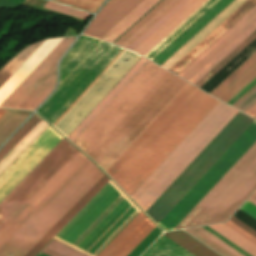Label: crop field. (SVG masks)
<instances>
[{
    "mask_svg": "<svg viewBox=\"0 0 256 256\" xmlns=\"http://www.w3.org/2000/svg\"><path fill=\"white\" fill-rule=\"evenodd\" d=\"M187 83L148 61L73 143L106 171Z\"/></svg>",
    "mask_w": 256,
    "mask_h": 256,
    "instance_id": "crop-field-1",
    "label": "crop field"
},
{
    "mask_svg": "<svg viewBox=\"0 0 256 256\" xmlns=\"http://www.w3.org/2000/svg\"><path fill=\"white\" fill-rule=\"evenodd\" d=\"M217 102L188 83L106 172L131 196Z\"/></svg>",
    "mask_w": 256,
    "mask_h": 256,
    "instance_id": "crop-field-2",
    "label": "crop field"
},
{
    "mask_svg": "<svg viewBox=\"0 0 256 256\" xmlns=\"http://www.w3.org/2000/svg\"><path fill=\"white\" fill-rule=\"evenodd\" d=\"M103 175L87 159L0 248V256H25Z\"/></svg>",
    "mask_w": 256,
    "mask_h": 256,
    "instance_id": "crop-field-3",
    "label": "crop field"
},
{
    "mask_svg": "<svg viewBox=\"0 0 256 256\" xmlns=\"http://www.w3.org/2000/svg\"><path fill=\"white\" fill-rule=\"evenodd\" d=\"M237 112L219 101L137 189L133 200L145 211Z\"/></svg>",
    "mask_w": 256,
    "mask_h": 256,
    "instance_id": "crop-field-4",
    "label": "crop field"
},
{
    "mask_svg": "<svg viewBox=\"0 0 256 256\" xmlns=\"http://www.w3.org/2000/svg\"><path fill=\"white\" fill-rule=\"evenodd\" d=\"M256 189V143L173 229L226 221Z\"/></svg>",
    "mask_w": 256,
    "mask_h": 256,
    "instance_id": "crop-field-5",
    "label": "crop field"
},
{
    "mask_svg": "<svg viewBox=\"0 0 256 256\" xmlns=\"http://www.w3.org/2000/svg\"><path fill=\"white\" fill-rule=\"evenodd\" d=\"M122 49L100 41L38 112L53 124Z\"/></svg>",
    "mask_w": 256,
    "mask_h": 256,
    "instance_id": "crop-field-6",
    "label": "crop field"
},
{
    "mask_svg": "<svg viewBox=\"0 0 256 256\" xmlns=\"http://www.w3.org/2000/svg\"><path fill=\"white\" fill-rule=\"evenodd\" d=\"M129 201L110 181L55 239L80 251Z\"/></svg>",
    "mask_w": 256,
    "mask_h": 256,
    "instance_id": "crop-field-7",
    "label": "crop field"
},
{
    "mask_svg": "<svg viewBox=\"0 0 256 256\" xmlns=\"http://www.w3.org/2000/svg\"><path fill=\"white\" fill-rule=\"evenodd\" d=\"M255 142L256 120L158 225L164 231L172 230Z\"/></svg>",
    "mask_w": 256,
    "mask_h": 256,
    "instance_id": "crop-field-8",
    "label": "crop field"
},
{
    "mask_svg": "<svg viewBox=\"0 0 256 256\" xmlns=\"http://www.w3.org/2000/svg\"><path fill=\"white\" fill-rule=\"evenodd\" d=\"M124 50V49H123ZM122 50V51H123ZM121 51V52H122ZM120 52V53H121ZM119 53V54H120ZM118 54V55H119ZM117 55V56H118ZM142 56L125 49L118 58L101 74V76L94 82L89 85V89L86 90L74 101L73 104L60 116V118L53 124L61 133L66 137L74 130V128L89 114V112L104 98V96L119 82V80L134 66V64Z\"/></svg>",
    "mask_w": 256,
    "mask_h": 256,
    "instance_id": "crop-field-9",
    "label": "crop field"
},
{
    "mask_svg": "<svg viewBox=\"0 0 256 256\" xmlns=\"http://www.w3.org/2000/svg\"><path fill=\"white\" fill-rule=\"evenodd\" d=\"M64 138L0 202V228L76 152Z\"/></svg>",
    "mask_w": 256,
    "mask_h": 256,
    "instance_id": "crop-field-10",
    "label": "crop field"
},
{
    "mask_svg": "<svg viewBox=\"0 0 256 256\" xmlns=\"http://www.w3.org/2000/svg\"><path fill=\"white\" fill-rule=\"evenodd\" d=\"M75 38H64L0 105L35 110L56 85V65Z\"/></svg>",
    "mask_w": 256,
    "mask_h": 256,
    "instance_id": "crop-field-11",
    "label": "crop field"
},
{
    "mask_svg": "<svg viewBox=\"0 0 256 256\" xmlns=\"http://www.w3.org/2000/svg\"><path fill=\"white\" fill-rule=\"evenodd\" d=\"M78 151L0 229V247L86 160Z\"/></svg>",
    "mask_w": 256,
    "mask_h": 256,
    "instance_id": "crop-field-12",
    "label": "crop field"
},
{
    "mask_svg": "<svg viewBox=\"0 0 256 256\" xmlns=\"http://www.w3.org/2000/svg\"><path fill=\"white\" fill-rule=\"evenodd\" d=\"M50 126L0 176V201L37 165L62 139Z\"/></svg>",
    "mask_w": 256,
    "mask_h": 256,
    "instance_id": "crop-field-13",
    "label": "crop field"
},
{
    "mask_svg": "<svg viewBox=\"0 0 256 256\" xmlns=\"http://www.w3.org/2000/svg\"><path fill=\"white\" fill-rule=\"evenodd\" d=\"M155 227L140 211L97 256H127ZM160 233L156 227L128 256H138Z\"/></svg>",
    "mask_w": 256,
    "mask_h": 256,
    "instance_id": "crop-field-14",
    "label": "crop field"
},
{
    "mask_svg": "<svg viewBox=\"0 0 256 256\" xmlns=\"http://www.w3.org/2000/svg\"><path fill=\"white\" fill-rule=\"evenodd\" d=\"M143 0H110L83 33L100 39Z\"/></svg>",
    "mask_w": 256,
    "mask_h": 256,
    "instance_id": "crop-field-15",
    "label": "crop field"
},
{
    "mask_svg": "<svg viewBox=\"0 0 256 256\" xmlns=\"http://www.w3.org/2000/svg\"><path fill=\"white\" fill-rule=\"evenodd\" d=\"M256 77V52L209 94L228 102Z\"/></svg>",
    "mask_w": 256,
    "mask_h": 256,
    "instance_id": "crop-field-16",
    "label": "crop field"
},
{
    "mask_svg": "<svg viewBox=\"0 0 256 256\" xmlns=\"http://www.w3.org/2000/svg\"><path fill=\"white\" fill-rule=\"evenodd\" d=\"M139 211L130 201L81 252L96 256Z\"/></svg>",
    "mask_w": 256,
    "mask_h": 256,
    "instance_id": "crop-field-17",
    "label": "crop field"
},
{
    "mask_svg": "<svg viewBox=\"0 0 256 256\" xmlns=\"http://www.w3.org/2000/svg\"><path fill=\"white\" fill-rule=\"evenodd\" d=\"M255 19L256 6L252 8L241 20H239L225 34H223L216 42H214L208 49H206L188 67L186 66L187 68H185L181 73H179L178 76L187 80Z\"/></svg>",
    "mask_w": 256,
    "mask_h": 256,
    "instance_id": "crop-field-18",
    "label": "crop field"
},
{
    "mask_svg": "<svg viewBox=\"0 0 256 256\" xmlns=\"http://www.w3.org/2000/svg\"><path fill=\"white\" fill-rule=\"evenodd\" d=\"M63 38L47 39L37 51L0 88V104L30 74V72L53 50Z\"/></svg>",
    "mask_w": 256,
    "mask_h": 256,
    "instance_id": "crop-field-19",
    "label": "crop field"
},
{
    "mask_svg": "<svg viewBox=\"0 0 256 256\" xmlns=\"http://www.w3.org/2000/svg\"><path fill=\"white\" fill-rule=\"evenodd\" d=\"M206 0H190L133 51L145 55Z\"/></svg>",
    "mask_w": 256,
    "mask_h": 256,
    "instance_id": "crop-field-20",
    "label": "crop field"
},
{
    "mask_svg": "<svg viewBox=\"0 0 256 256\" xmlns=\"http://www.w3.org/2000/svg\"><path fill=\"white\" fill-rule=\"evenodd\" d=\"M256 5V0H248L241 6L233 15H231L223 24L197 45L190 53L180 60L170 71L178 73L206 48H208L216 39H218L225 31H227L234 23H236L243 15H245L253 6Z\"/></svg>",
    "mask_w": 256,
    "mask_h": 256,
    "instance_id": "crop-field-21",
    "label": "crop field"
},
{
    "mask_svg": "<svg viewBox=\"0 0 256 256\" xmlns=\"http://www.w3.org/2000/svg\"><path fill=\"white\" fill-rule=\"evenodd\" d=\"M247 0H235L161 66L170 69Z\"/></svg>",
    "mask_w": 256,
    "mask_h": 256,
    "instance_id": "crop-field-22",
    "label": "crop field"
},
{
    "mask_svg": "<svg viewBox=\"0 0 256 256\" xmlns=\"http://www.w3.org/2000/svg\"><path fill=\"white\" fill-rule=\"evenodd\" d=\"M231 1L232 0H219L212 8H210L152 61L160 65Z\"/></svg>",
    "mask_w": 256,
    "mask_h": 256,
    "instance_id": "crop-field-23",
    "label": "crop field"
},
{
    "mask_svg": "<svg viewBox=\"0 0 256 256\" xmlns=\"http://www.w3.org/2000/svg\"><path fill=\"white\" fill-rule=\"evenodd\" d=\"M109 181L104 175L26 256H35Z\"/></svg>",
    "mask_w": 256,
    "mask_h": 256,
    "instance_id": "crop-field-24",
    "label": "crop field"
},
{
    "mask_svg": "<svg viewBox=\"0 0 256 256\" xmlns=\"http://www.w3.org/2000/svg\"><path fill=\"white\" fill-rule=\"evenodd\" d=\"M147 61L148 60L142 57L67 138L73 142L78 137V135L91 123V121L104 109V107L116 96V94L129 82V80L142 68V66Z\"/></svg>",
    "mask_w": 256,
    "mask_h": 256,
    "instance_id": "crop-field-25",
    "label": "crop field"
},
{
    "mask_svg": "<svg viewBox=\"0 0 256 256\" xmlns=\"http://www.w3.org/2000/svg\"><path fill=\"white\" fill-rule=\"evenodd\" d=\"M178 1L179 0H163L160 2L136 25H134L128 32H126L119 40H117L115 44L126 48Z\"/></svg>",
    "mask_w": 256,
    "mask_h": 256,
    "instance_id": "crop-field-26",
    "label": "crop field"
},
{
    "mask_svg": "<svg viewBox=\"0 0 256 256\" xmlns=\"http://www.w3.org/2000/svg\"><path fill=\"white\" fill-rule=\"evenodd\" d=\"M99 40L80 36L73 47L62 59L60 64V83L79 64V62L93 49ZM59 83V84H60Z\"/></svg>",
    "mask_w": 256,
    "mask_h": 256,
    "instance_id": "crop-field-27",
    "label": "crop field"
},
{
    "mask_svg": "<svg viewBox=\"0 0 256 256\" xmlns=\"http://www.w3.org/2000/svg\"><path fill=\"white\" fill-rule=\"evenodd\" d=\"M256 30V20L252 22L245 30H243L236 38H234L227 46H225L218 54H216L210 61H208L201 69H199L187 81L195 84L206 73H208L215 65H217L223 58H225L233 49H235L241 42H243L250 34Z\"/></svg>",
    "mask_w": 256,
    "mask_h": 256,
    "instance_id": "crop-field-28",
    "label": "crop field"
},
{
    "mask_svg": "<svg viewBox=\"0 0 256 256\" xmlns=\"http://www.w3.org/2000/svg\"><path fill=\"white\" fill-rule=\"evenodd\" d=\"M160 0H145L113 29H111L101 40L112 43L123 32H125L132 24L142 17L149 9H151Z\"/></svg>",
    "mask_w": 256,
    "mask_h": 256,
    "instance_id": "crop-field-29",
    "label": "crop field"
},
{
    "mask_svg": "<svg viewBox=\"0 0 256 256\" xmlns=\"http://www.w3.org/2000/svg\"><path fill=\"white\" fill-rule=\"evenodd\" d=\"M218 0H207L201 7H199L192 15H190L184 22H182L175 30H173L166 38H164L158 45H156L145 57L153 59L158 55L167 45H169L179 34H181L189 25H191L197 18H199L205 11H207Z\"/></svg>",
    "mask_w": 256,
    "mask_h": 256,
    "instance_id": "crop-field-30",
    "label": "crop field"
},
{
    "mask_svg": "<svg viewBox=\"0 0 256 256\" xmlns=\"http://www.w3.org/2000/svg\"><path fill=\"white\" fill-rule=\"evenodd\" d=\"M42 120L0 161V175L48 127Z\"/></svg>",
    "mask_w": 256,
    "mask_h": 256,
    "instance_id": "crop-field-31",
    "label": "crop field"
},
{
    "mask_svg": "<svg viewBox=\"0 0 256 256\" xmlns=\"http://www.w3.org/2000/svg\"><path fill=\"white\" fill-rule=\"evenodd\" d=\"M163 235L179 244L195 256H219L183 231L168 232Z\"/></svg>",
    "mask_w": 256,
    "mask_h": 256,
    "instance_id": "crop-field-32",
    "label": "crop field"
},
{
    "mask_svg": "<svg viewBox=\"0 0 256 256\" xmlns=\"http://www.w3.org/2000/svg\"><path fill=\"white\" fill-rule=\"evenodd\" d=\"M142 256H193V255L162 235Z\"/></svg>",
    "mask_w": 256,
    "mask_h": 256,
    "instance_id": "crop-field-33",
    "label": "crop field"
},
{
    "mask_svg": "<svg viewBox=\"0 0 256 256\" xmlns=\"http://www.w3.org/2000/svg\"><path fill=\"white\" fill-rule=\"evenodd\" d=\"M210 229L239 247L240 249L244 250L251 256H256V245L230 229L224 224L221 225H215V226H209Z\"/></svg>",
    "mask_w": 256,
    "mask_h": 256,
    "instance_id": "crop-field-34",
    "label": "crop field"
},
{
    "mask_svg": "<svg viewBox=\"0 0 256 256\" xmlns=\"http://www.w3.org/2000/svg\"><path fill=\"white\" fill-rule=\"evenodd\" d=\"M35 114L27 121L0 150V160L40 121Z\"/></svg>",
    "mask_w": 256,
    "mask_h": 256,
    "instance_id": "crop-field-35",
    "label": "crop field"
},
{
    "mask_svg": "<svg viewBox=\"0 0 256 256\" xmlns=\"http://www.w3.org/2000/svg\"><path fill=\"white\" fill-rule=\"evenodd\" d=\"M189 0H180L173 6L166 14H164L156 23H154L147 31H145L139 38H137L127 49L133 50L144 39H146L152 32H154L160 25H162L168 18H170L176 11H178Z\"/></svg>",
    "mask_w": 256,
    "mask_h": 256,
    "instance_id": "crop-field-36",
    "label": "crop field"
},
{
    "mask_svg": "<svg viewBox=\"0 0 256 256\" xmlns=\"http://www.w3.org/2000/svg\"><path fill=\"white\" fill-rule=\"evenodd\" d=\"M256 83V79L249 84L242 92H240L236 97H234L228 104H232L234 101H236L242 94H244L251 86H253ZM256 91V84L251 87L244 95H242L236 102H234L231 106L234 108H237L239 105H241L247 98H249L254 92ZM254 101H256V93H254L249 99H247L241 106H239L237 109L240 111H244L246 108H248Z\"/></svg>",
    "mask_w": 256,
    "mask_h": 256,
    "instance_id": "crop-field-37",
    "label": "crop field"
},
{
    "mask_svg": "<svg viewBox=\"0 0 256 256\" xmlns=\"http://www.w3.org/2000/svg\"><path fill=\"white\" fill-rule=\"evenodd\" d=\"M256 38V31L249 36L243 43H241L234 51H232L225 59H223L215 68H213L205 77H203L195 85L200 88V86L211 78L215 73H217L230 59L237 55L243 48H245L251 41Z\"/></svg>",
    "mask_w": 256,
    "mask_h": 256,
    "instance_id": "crop-field-38",
    "label": "crop field"
},
{
    "mask_svg": "<svg viewBox=\"0 0 256 256\" xmlns=\"http://www.w3.org/2000/svg\"><path fill=\"white\" fill-rule=\"evenodd\" d=\"M44 8L51 9V10H54V11H57V12H60V13H64V14H67V15H70V16H73V17H76V18L83 19V20L87 16L90 15V13L75 10V9H72V8H69V7H66V6H63V5H59V4L50 2V1H48L46 3Z\"/></svg>",
    "mask_w": 256,
    "mask_h": 256,
    "instance_id": "crop-field-39",
    "label": "crop field"
},
{
    "mask_svg": "<svg viewBox=\"0 0 256 256\" xmlns=\"http://www.w3.org/2000/svg\"><path fill=\"white\" fill-rule=\"evenodd\" d=\"M47 248L63 255V256H86L56 240H52Z\"/></svg>",
    "mask_w": 256,
    "mask_h": 256,
    "instance_id": "crop-field-40",
    "label": "crop field"
},
{
    "mask_svg": "<svg viewBox=\"0 0 256 256\" xmlns=\"http://www.w3.org/2000/svg\"><path fill=\"white\" fill-rule=\"evenodd\" d=\"M95 12L104 0H58Z\"/></svg>",
    "mask_w": 256,
    "mask_h": 256,
    "instance_id": "crop-field-41",
    "label": "crop field"
},
{
    "mask_svg": "<svg viewBox=\"0 0 256 256\" xmlns=\"http://www.w3.org/2000/svg\"><path fill=\"white\" fill-rule=\"evenodd\" d=\"M185 231H187L188 233H190L191 235H193L194 237H196L197 239H199L200 241H202L203 243H205L206 245H208L209 247H211L212 249H214L215 251H217L221 255H223V256H232L231 254H229L228 252H226L225 250H223L222 248H220L219 246H217L216 244H214L213 242H211L210 240H208L207 238H205L204 236H202L201 234H199L195 230L188 229V230H185Z\"/></svg>",
    "mask_w": 256,
    "mask_h": 256,
    "instance_id": "crop-field-42",
    "label": "crop field"
},
{
    "mask_svg": "<svg viewBox=\"0 0 256 256\" xmlns=\"http://www.w3.org/2000/svg\"><path fill=\"white\" fill-rule=\"evenodd\" d=\"M195 230L204 235L205 237H207L208 239H210L211 241H213L214 243H216L217 245H219L220 247H222L223 249H225L226 251H228L229 253L233 254L234 256H242L233 249H231L230 247H228L227 245H225L224 243H222L221 241H219L218 239H216L215 237H213L212 235H210L209 233H207L206 231H204L203 229L196 228Z\"/></svg>",
    "mask_w": 256,
    "mask_h": 256,
    "instance_id": "crop-field-43",
    "label": "crop field"
},
{
    "mask_svg": "<svg viewBox=\"0 0 256 256\" xmlns=\"http://www.w3.org/2000/svg\"><path fill=\"white\" fill-rule=\"evenodd\" d=\"M225 224L227 226H229L230 228H232L233 230H235L236 232H238L239 234H241L242 236H244L245 238H247L248 240H250L251 242H253L254 244H256V238L255 237H253L252 235H250L249 233H247L246 231H244L243 229H241L240 227H238L237 225H235L231 221L228 220V222L225 223Z\"/></svg>",
    "mask_w": 256,
    "mask_h": 256,
    "instance_id": "crop-field-44",
    "label": "crop field"
},
{
    "mask_svg": "<svg viewBox=\"0 0 256 256\" xmlns=\"http://www.w3.org/2000/svg\"><path fill=\"white\" fill-rule=\"evenodd\" d=\"M203 229L206 230L207 232H209L210 234H212L213 236H215L216 238H218L219 240H221L222 242H224L225 244H227L228 246H230L231 248L235 249L236 251H238L242 255L250 256L247 253H245L244 251H242L239 248H237L236 246H234L233 244H231L230 242H228L227 240H225L224 238H222L221 236H219L218 234H216L215 232H213L212 230H210L209 228L203 227Z\"/></svg>",
    "mask_w": 256,
    "mask_h": 256,
    "instance_id": "crop-field-45",
    "label": "crop field"
},
{
    "mask_svg": "<svg viewBox=\"0 0 256 256\" xmlns=\"http://www.w3.org/2000/svg\"><path fill=\"white\" fill-rule=\"evenodd\" d=\"M241 210L256 219V206H254L250 202H247Z\"/></svg>",
    "mask_w": 256,
    "mask_h": 256,
    "instance_id": "crop-field-46",
    "label": "crop field"
},
{
    "mask_svg": "<svg viewBox=\"0 0 256 256\" xmlns=\"http://www.w3.org/2000/svg\"><path fill=\"white\" fill-rule=\"evenodd\" d=\"M229 220H231L232 222H234L235 224H237L238 226H240L241 228H243L244 230H246L247 232H249L250 234L256 237V231H254L253 229H251L250 227H248L247 225H245L235 217L232 216Z\"/></svg>",
    "mask_w": 256,
    "mask_h": 256,
    "instance_id": "crop-field-47",
    "label": "crop field"
},
{
    "mask_svg": "<svg viewBox=\"0 0 256 256\" xmlns=\"http://www.w3.org/2000/svg\"><path fill=\"white\" fill-rule=\"evenodd\" d=\"M244 113L254 117L256 115V102H254L248 109H246Z\"/></svg>",
    "mask_w": 256,
    "mask_h": 256,
    "instance_id": "crop-field-48",
    "label": "crop field"
},
{
    "mask_svg": "<svg viewBox=\"0 0 256 256\" xmlns=\"http://www.w3.org/2000/svg\"><path fill=\"white\" fill-rule=\"evenodd\" d=\"M42 252H44V253H46V254H48L50 256H60V255H58V254H56V253H54V252H52V251H50V250H48L46 248L44 250H42Z\"/></svg>",
    "mask_w": 256,
    "mask_h": 256,
    "instance_id": "crop-field-49",
    "label": "crop field"
},
{
    "mask_svg": "<svg viewBox=\"0 0 256 256\" xmlns=\"http://www.w3.org/2000/svg\"><path fill=\"white\" fill-rule=\"evenodd\" d=\"M7 110L0 109V117L6 112Z\"/></svg>",
    "mask_w": 256,
    "mask_h": 256,
    "instance_id": "crop-field-50",
    "label": "crop field"
},
{
    "mask_svg": "<svg viewBox=\"0 0 256 256\" xmlns=\"http://www.w3.org/2000/svg\"><path fill=\"white\" fill-rule=\"evenodd\" d=\"M249 201H251L252 203H254L256 205V200H254L253 198L250 197Z\"/></svg>",
    "mask_w": 256,
    "mask_h": 256,
    "instance_id": "crop-field-51",
    "label": "crop field"
},
{
    "mask_svg": "<svg viewBox=\"0 0 256 256\" xmlns=\"http://www.w3.org/2000/svg\"><path fill=\"white\" fill-rule=\"evenodd\" d=\"M37 256H47V255L40 252Z\"/></svg>",
    "mask_w": 256,
    "mask_h": 256,
    "instance_id": "crop-field-52",
    "label": "crop field"
},
{
    "mask_svg": "<svg viewBox=\"0 0 256 256\" xmlns=\"http://www.w3.org/2000/svg\"><path fill=\"white\" fill-rule=\"evenodd\" d=\"M251 197H253L254 199H256V193L254 192Z\"/></svg>",
    "mask_w": 256,
    "mask_h": 256,
    "instance_id": "crop-field-53",
    "label": "crop field"
},
{
    "mask_svg": "<svg viewBox=\"0 0 256 256\" xmlns=\"http://www.w3.org/2000/svg\"><path fill=\"white\" fill-rule=\"evenodd\" d=\"M256 118V117H255Z\"/></svg>",
    "mask_w": 256,
    "mask_h": 256,
    "instance_id": "crop-field-54",
    "label": "crop field"
},
{
    "mask_svg": "<svg viewBox=\"0 0 256 256\" xmlns=\"http://www.w3.org/2000/svg\"><path fill=\"white\" fill-rule=\"evenodd\" d=\"M256 192V191H255Z\"/></svg>",
    "mask_w": 256,
    "mask_h": 256,
    "instance_id": "crop-field-55",
    "label": "crop field"
}]
</instances>
